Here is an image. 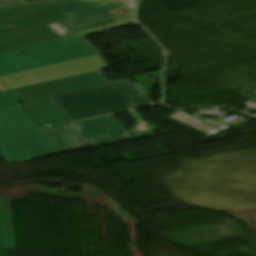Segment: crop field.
<instances>
[{
	"mask_svg": "<svg viewBox=\"0 0 256 256\" xmlns=\"http://www.w3.org/2000/svg\"><path fill=\"white\" fill-rule=\"evenodd\" d=\"M27 114L17 104L0 107V154L4 159L61 153Z\"/></svg>",
	"mask_w": 256,
	"mask_h": 256,
	"instance_id": "34b2d1b8",
	"label": "crop field"
},
{
	"mask_svg": "<svg viewBox=\"0 0 256 256\" xmlns=\"http://www.w3.org/2000/svg\"><path fill=\"white\" fill-rule=\"evenodd\" d=\"M104 84H109V82L102 72L98 71L16 89L12 90L11 92L20 103H23L47 96L73 92Z\"/></svg>",
	"mask_w": 256,
	"mask_h": 256,
	"instance_id": "dd49c442",
	"label": "crop field"
},
{
	"mask_svg": "<svg viewBox=\"0 0 256 256\" xmlns=\"http://www.w3.org/2000/svg\"><path fill=\"white\" fill-rule=\"evenodd\" d=\"M0 90H7V89L2 85L1 82H0Z\"/></svg>",
	"mask_w": 256,
	"mask_h": 256,
	"instance_id": "d1516ede",
	"label": "crop field"
},
{
	"mask_svg": "<svg viewBox=\"0 0 256 256\" xmlns=\"http://www.w3.org/2000/svg\"><path fill=\"white\" fill-rule=\"evenodd\" d=\"M70 126L89 147L130 139L112 116L74 123Z\"/></svg>",
	"mask_w": 256,
	"mask_h": 256,
	"instance_id": "e52e79f7",
	"label": "crop field"
},
{
	"mask_svg": "<svg viewBox=\"0 0 256 256\" xmlns=\"http://www.w3.org/2000/svg\"><path fill=\"white\" fill-rule=\"evenodd\" d=\"M28 0H0V8L27 2Z\"/></svg>",
	"mask_w": 256,
	"mask_h": 256,
	"instance_id": "28ad6ade",
	"label": "crop field"
},
{
	"mask_svg": "<svg viewBox=\"0 0 256 256\" xmlns=\"http://www.w3.org/2000/svg\"><path fill=\"white\" fill-rule=\"evenodd\" d=\"M84 35L0 54V76L100 54Z\"/></svg>",
	"mask_w": 256,
	"mask_h": 256,
	"instance_id": "412701ff",
	"label": "crop field"
},
{
	"mask_svg": "<svg viewBox=\"0 0 256 256\" xmlns=\"http://www.w3.org/2000/svg\"><path fill=\"white\" fill-rule=\"evenodd\" d=\"M32 158H35V157H32ZM26 159H30V158H26ZM21 160H25V159H21ZM15 161H20V160H15ZM15 161H9L8 163L15 162Z\"/></svg>",
	"mask_w": 256,
	"mask_h": 256,
	"instance_id": "22f410ed",
	"label": "crop field"
},
{
	"mask_svg": "<svg viewBox=\"0 0 256 256\" xmlns=\"http://www.w3.org/2000/svg\"><path fill=\"white\" fill-rule=\"evenodd\" d=\"M41 128L69 123V119L51 101L50 97L21 104Z\"/></svg>",
	"mask_w": 256,
	"mask_h": 256,
	"instance_id": "d8731c3e",
	"label": "crop field"
},
{
	"mask_svg": "<svg viewBox=\"0 0 256 256\" xmlns=\"http://www.w3.org/2000/svg\"><path fill=\"white\" fill-rule=\"evenodd\" d=\"M31 1H34V0H31Z\"/></svg>",
	"mask_w": 256,
	"mask_h": 256,
	"instance_id": "cbeb9de0",
	"label": "crop field"
},
{
	"mask_svg": "<svg viewBox=\"0 0 256 256\" xmlns=\"http://www.w3.org/2000/svg\"><path fill=\"white\" fill-rule=\"evenodd\" d=\"M43 131L63 152L88 147L69 124L44 129Z\"/></svg>",
	"mask_w": 256,
	"mask_h": 256,
	"instance_id": "5a996713",
	"label": "crop field"
},
{
	"mask_svg": "<svg viewBox=\"0 0 256 256\" xmlns=\"http://www.w3.org/2000/svg\"><path fill=\"white\" fill-rule=\"evenodd\" d=\"M107 63L100 55L41 67L25 72H20L0 79L5 83L9 90L16 89L37 82H46L55 79L70 77L74 75L98 71L108 68Z\"/></svg>",
	"mask_w": 256,
	"mask_h": 256,
	"instance_id": "f4fd0767",
	"label": "crop field"
},
{
	"mask_svg": "<svg viewBox=\"0 0 256 256\" xmlns=\"http://www.w3.org/2000/svg\"><path fill=\"white\" fill-rule=\"evenodd\" d=\"M135 0H38L0 9V53L133 22Z\"/></svg>",
	"mask_w": 256,
	"mask_h": 256,
	"instance_id": "8a807250",
	"label": "crop field"
},
{
	"mask_svg": "<svg viewBox=\"0 0 256 256\" xmlns=\"http://www.w3.org/2000/svg\"><path fill=\"white\" fill-rule=\"evenodd\" d=\"M17 103L9 91L0 92V106L12 105Z\"/></svg>",
	"mask_w": 256,
	"mask_h": 256,
	"instance_id": "3316defc",
	"label": "crop field"
},
{
	"mask_svg": "<svg viewBox=\"0 0 256 256\" xmlns=\"http://www.w3.org/2000/svg\"><path fill=\"white\" fill-rule=\"evenodd\" d=\"M51 97L71 122L153 104L128 80Z\"/></svg>",
	"mask_w": 256,
	"mask_h": 256,
	"instance_id": "ac0d7876",
	"label": "crop field"
}]
</instances>
